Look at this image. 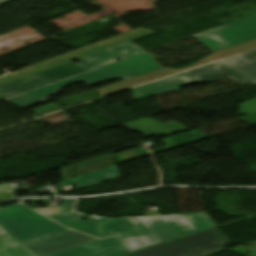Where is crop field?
<instances>
[{
  "label": "crop field",
  "instance_id": "obj_9",
  "mask_svg": "<svg viewBox=\"0 0 256 256\" xmlns=\"http://www.w3.org/2000/svg\"><path fill=\"white\" fill-rule=\"evenodd\" d=\"M82 72L85 71L73 63L65 64L0 88V99Z\"/></svg>",
  "mask_w": 256,
  "mask_h": 256
},
{
  "label": "crop field",
  "instance_id": "obj_16",
  "mask_svg": "<svg viewBox=\"0 0 256 256\" xmlns=\"http://www.w3.org/2000/svg\"><path fill=\"white\" fill-rule=\"evenodd\" d=\"M119 173L116 167H111L108 169L84 174L76 177L77 189H82L88 186H92L98 183L109 181L115 178H119Z\"/></svg>",
  "mask_w": 256,
  "mask_h": 256
},
{
  "label": "crop field",
  "instance_id": "obj_3",
  "mask_svg": "<svg viewBox=\"0 0 256 256\" xmlns=\"http://www.w3.org/2000/svg\"><path fill=\"white\" fill-rule=\"evenodd\" d=\"M159 68L162 67L156 61H154L148 53H144L98 70L82 74L72 79L52 84L5 100L16 106L24 108L45 101L48 95L57 93L63 86L80 80L84 81L88 86H90L115 78L126 79Z\"/></svg>",
  "mask_w": 256,
  "mask_h": 256
},
{
  "label": "crop field",
  "instance_id": "obj_13",
  "mask_svg": "<svg viewBox=\"0 0 256 256\" xmlns=\"http://www.w3.org/2000/svg\"><path fill=\"white\" fill-rule=\"evenodd\" d=\"M196 83L184 73L169 77L133 90V99L144 98L152 95L175 92L179 86Z\"/></svg>",
  "mask_w": 256,
  "mask_h": 256
},
{
  "label": "crop field",
  "instance_id": "obj_5",
  "mask_svg": "<svg viewBox=\"0 0 256 256\" xmlns=\"http://www.w3.org/2000/svg\"><path fill=\"white\" fill-rule=\"evenodd\" d=\"M230 241L216 228L127 256H206L225 251Z\"/></svg>",
  "mask_w": 256,
  "mask_h": 256
},
{
  "label": "crop field",
  "instance_id": "obj_6",
  "mask_svg": "<svg viewBox=\"0 0 256 256\" xmlns=\"http://www.w3.org/2000/svg\"><path fill=\"white\" fill-rule=\"evenodd\" d=\"M155 31L144 29L141 27L135 28L133 30L121 33L119 35L110 37L108 39L96 42L94 44L79 48L77 50L65 53L63 55L57 56L55 58L49 59L47 61L41 62L39 64L33 65L31 67L21 69L15 72H11L6 76L0 78V85L12 82L14 80L56 67L58 65L79 59L84 56L92 55L100 51L118 46L120 44L132 41L139 37L145 36Z\"/></svg>",
  "mask_w": 256,
  "mask_h": 256
},
{
  "label": "crop field",
  "instance_id": "obj_2",
  "mask_svg": "<svg viewBox=\"0 0 256 256\" xmlns=\"http://www.w3.org/2000/svg\"><path fill=\"white\" fill-rule=\"evenodd\" d=\"M128 218L142 235L122 238L130 252L216 227L205 212Z\"/></svg>",
  "mask_w": 256,
  "mask_h": 256
},
{
  "label": "crop field",
  "instance_id": "obj_10",
  "mask_svg": "<svg viewBox=\"0 0 256 256\" xmlns=\"http://www.w3.org/2000/svg\"><path fill=\"white\" fill-rule=\"evenodd\" d=\"M97 239L99 238L73 230L25 246L38 256H47Z\"/></svg>",
  "mask_w": 256,
  "mask_h": 256
},
{
  "label": "crop field",
  "instance_id": "obj_4",
  "mask_svg": "<svg viewBox=\"0 0 256 256\" xmlns=\"http://www.w3.org/2000/svg\"><path fill=\"white\" fill-rule=\"evenodd\" d=\"M0 226L23 245L70 231L33 212L21 202L0 209Z\"/></svg>",
  "mask_w": 256,
  "mask_h": 256
},
{
  "label": "crop field",
  "instance_id": "obj_17",
  "mask_svg": "<svg viewBox=\"0 0 256 256\" xmlns=\"http://www.w3.org/2000/svg\"><path fill=\"white\" fill-rule=\"evenodd\" d=\"M0 256H36L10 234L0 238Z\"/></svg>",
  "mask_w": 256,
  "mask_h": 256
},
{
  "label": "crop field",
  "instance_id": "obj_15",
  "mask_svg": "<svg viewBox=\"0 0 256 256\" xmlns=\"http://www.w3.org/2000/svg\"><path fill=\"white\" fill-rule=\"evenodd\" d=\"M219 63L256 78V50Z\"/></svg>",
  "mask_w": 256,
  "mask_h": 256
},
{
  "label": "crop field",
  "instance_id": "obj_7",
  "mask_svg": "<svg viewBox=\"0 0 256 256\" xmlns=\"http://www.w3.org/2000/svg\"><path fill=\"white\" fill-rule=\"evenodd\" d=\"M256 49V40L250 41V42H246V43H242L239 45H236L234 47L231 48H227L225 50H220L218 52H214L211 56L205 57L203 60H201L200 62H198L197 64L191 66V67H187V68H182V69H178V70H174V69H170V68H162L159 70H155L146 74H142L133 78H129L126 80H123L119 83H116L114 85L99 89V93L100 96H105V95H109L115 92H119L125 89H129L153 80H157L163 77H167L173 74H177L186 70H190L202 65H206L209 63H212L214 61L217 60H222V59H226L232 56H236V55H241L246 51L249 50H253Z\"/></svg>",
  "mask_w": 256,
  "mask_h": 256
},
{
  "label": "crop field",
  "instance_id": "obj_12",
  "mask_svg": "<svg viewBox=\"0 0 256 256\" xmlns=\"http://www.w3.org/2000/svg\"><path fill=\"white\" fill-rule=\"evenodd\" d=\"M139 47V46H138ZM133 43L129 42L126 44H123L121 46L103 51L101 53L81 58L79 60L86 62L85 64H82L81 62L76 63L78 66L83 68L84 70L88 71L94 68H97L99 66L126 58L128 56L144 52L140 48H138Z\"/></svg>",
  "mask_w": 256,
  "mask_h": 256
},
{
  "label": "crop field",
  "instance_id": "obj_19",
  "mask_svg": "<svg viewBox=\"0 0 256 256\" xmlns=\"http://www.w3.org/2000/svg\"><path fill=\"white\" fill-rule=\"evenodd\" d=\"M7 234V232L0 227V236Z\"/></svg>",
  "mask_w": 256,
  "mask_h": 256
},
{
  "label": "crop field",
  "instance_id": "obj_8",
  "mask_svg": "<svg viewBox=\"0 0 256 256\" xmlns=\"http://www.w3.org/2000/svg\"><path fill=\"white\" fill-rule=\"evenodd\" d=\"M194 38L212 52L256 39V15L202 33Z\"/></svg>",
  "mask_w": 256,
  "mask_h": 256
},
{
  "label": "crop field",
  "instance_id": "obj_14",
  "mask_svg": "<svg viewBox=\"0 0 256 256\" xmlns=\"http://www.w3.org/2000/svg\"><path fill=\"white\" fill-rule=\"evenodd\" d=\"M122 125L133 131H138L140 133L145 134L142 136L144 138L153 136V135L155 136H159L162 134L169 135L176 132L191 129L189 127L183 126L173 121L163 124L149 117L142 118V119L132 121Z\"/></svg>",
  "mask_w": 256,
  "mask_h": 256
},
{
  "label": "crop field",
  "instance_id": "obj_11",
  "mask_svg": "<svg viewBox=\"0 0 256 256\" xmlns=\"http://www.w3.org/2000/svg\"><path fill=\"white\" fill-rule=\"evenodd\" d=\"M185 74L194 79L197 83L218 81L227 77L241 84H256V79L239 73L219 63L189 71Z\"/></svg>",
  "mask_w": 256,
  "mask_h": 256
},
{
  "label": "crop field",
  "instance_id": "obj_1",
  "mask_svg": "<svg viewBox=\"0 0 256 256\" xmlns=\"http://www.w3.org/2000/svg\"><path fill=\"white\" fill-rule=\"evenodd\" d=\"M74 204L75 199H62L59 208L46 217L101 239L51 256H120L129 253L120 237L140 234L128 218L104 217L98 223L79 220L83 214L72 212Z\"/></svg>",
  "mask_w": 256,
  "mask_h": 256
},
{
  "label": "crop field",
  "instance_id": "obj_18",
  "mask_svg": "<svg viewBox=\"0 0 256 256\" xmlns=\"http://www.w3.org/2000/svg\"><path fill=\"white\" fill-rule=\"evenodd\" d=\"M239 111L238 113L240 114V116L242 115H246L252 112H256V98H253L247 102H244L240 105H238Z\"/></svg>",
  "mask_w": 256,
  "mask_h": 256
}]
</instances>
